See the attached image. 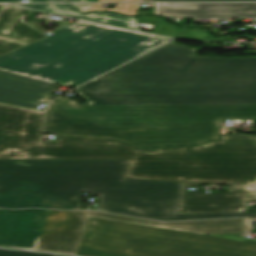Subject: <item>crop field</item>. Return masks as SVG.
Instances as JSON below:
<instances>
[{
	"label": "crop field",
	"instance_id": "obj_1",
	"mask_svg": "<svg viewBox=\"0 0 256 256\" xmlns=\"http://www.w3.org/2000/svg\"><path fill=\"white\" fill-rule=\"evenodd\" d=\"M42 159H128L125 179L183 182L179 213L246 212L256 187L204 194L200 185H256V136L224 135L200 147L146 152L116 139L57 136L42 143ZM193 185L196 190L187 191Z\"/></svg>",
	"mask_w": 256,
	"mask_h": 256
},
{
	"label": "crop field",
	"instance_id": "obj_2",
	"mask_svg": "<svg viewBox=\"0 0 256 256\" xmlns=\"http://www.w3.org/2000/svg\"><path fill=\"white\" fill-rule=\"evenodd\" d=\"M128 160H0V207L80 209L82 192L100 194L101 211L164 221L256 216L176 215L182 183L124 180Z\"/></svg>",
	"mask_w": 256,
	"mask_h": 256
},
{
	"label": "crop field",
	"instance_id": "obj_3",
	"mask_svg": "<svg viewBox=\"0 0 256 256\" xmlns=\"http://www.w3.org/2000/svg\"><path fill=\"white\" fill-rule=\"evenodd\" d=\"M171 42L76 90L93 105L256 104V57H194Z\"/></svg>",
	"mask_w": 256,
	"mask_h": 256
},
{
	"label": "crop field",
	"instance_id": "obj_4",
	"mask_svg": "<svg viewBox=\"0 0 256 256\" xmlns=\"http://www.w3.org/2000/svg\"><path fill=\"white\" fill-rule=\"evenodd\" d=\"M225 119L256 124V105L83 107L60 97L44 113V133L116 138L153 151L218 140L215 122Z\"/></svg>",
	"mask_w": 256,
	"mask_h": 256
},
{
	"label": "crop field",
	"instance_id": "obj_5",
	"mask_svg": "<svg viewBox=\"0 0 256 256\" xmlns=\"http://www.w3.org/2000/svg\"><path fill=\"white\" fill-rule=\"evenodd\" d=\"M169 40L78 20L0 57V70L74 87Z\"/></svg>",
	"mask_w": 256,
	"mask_h": 256
},
{
	"label": "crop field",
	"instance_id": "obj_6",
	"mask_svg": "<svg viewBox=\"0 0 256 256\" xmlns=\"http://www.w3.org/2000/svg\"><path fill=\"white\" fill-rule=\"evenodd\" d=\"M76 255L256 256V244L90 218Z\"/></svg>",
	"mask_w": 256,
	"mask_h": 256
},
{
	"label": "crop field",
	"instance_id": "obj_7",
	"mask_svg": "<svg viewBox=\"0 0 256 256\" xmlns=\"http://www.w3.org/2000/svg\"><path fill=\"white\" fill-rule=\"evenodd\" d=\"M89 217L201 235L253 232L249 218L164 223L93 211L66 212L48 210L37 251L75 255Z\"/></svg>",
	"mask_w": 256,
	"mask_h": 256
},
{
	"label": "crop field",
	"instance_id": "obj_8",
	"mask_svg": "<svg viewBox=\"0 0 256 256\" xmlns=\"http://www.w3.org/2000/svg\"><path fill=\"white\" fill-rule=\"evenodd\" d=\"M0 159H41V112L0 104Z\"/></svg>",
	"mask_w": 256,
	"mask_h": 256
},
{
	"label": "crop field",
	"instance_id": "obj_9",
	"mask_svg": "<svg viewBox=\"0 0 256 256\" xmlns=\"http://www.w3.org/2000/svg\"><path fill=\"white\" fill-rule=\"evenodd\" d=\"M46 211L0 209V247L34 251Z\"/></svg>",
	"mask_w": 256,
	"mask_h": 256
},
{
	"label": "crop field",
	"instance_id": "obj_10",
	"mask_svg": "<svg viewBox=\"0 0 256 256\" xmlns=\"http://www.w3.org/2000/svg\"><path fill=\"white\" fill-rule=\"evenodd\" d=\"M59 85L0 71V103L36 109L56 97Z\"/></svg>",
	"mask_w": 256,
	"mask_h": 256
},
{
	"label": "crop field",
	"instance_id": "obj_11",
	"mask_svg": "<svg viewBox=\"0 0 256 256\" xmlns=\"http://www.w3.org/2000/svg\"><path fill=\"white\" fill-rule=\"evenodd\" d=\"M155 14L165 17H256V3L155 4Z\"/></svg>",
	"mask_w": 256,
	"mask_h": 256
},
{
	"label": "crop field",
	"instance_id": "obj_12",
	"mask_svg": "<svg viewBox=\"0 0 256 256\" xmlns=\"http://www.w3.org/2000/svg\"><path fill=\"white\" fill-rule=\"evenodd\" d=\"M31 10L0 5V37L31 44L43 38V34L23 22V16Z\"/></svg>",
	"mask_w": 256,
	"mask_h": 256
},
{
	"label": "crop field",
	"instance_id": "obj_13",
	"mask_svg": "<svg viewBox=\"0 0 256 256\" xmlns=\"http://www.w3.org/2000/svg\"><path fill=\"white\" fill-rule=\"evenodd\" d=\"M16 5H21L25 7L35 8L39 10L66 15V16L86 19L90 21L136 29L135 17H128V16L116 14V13L93 12V13H89L88 15H84L79 11L75 10L74 8H72L68 4H16Z\"/></svg>",
	"mask_w": 256,
	"mask_h": 256
},
{
	"label": "crop field",
	"instance_id": "obj_14",
	"mask_svg": "<svg viewBox=\"0 0 256 256\" xmlns=\"http://www.w3.org/2000/svg\"><path fill=\"white\" fill-rule=\"evenodd\" d=\"M26 45L27 44L15 42L11 39L0 38V56H3Z\"/></svg>",
	"mask_w": 256,
	"mask_h": 256
},
{
	"label": "crop field",
	"instance_id": "obj_15",
	"mask_svg": "<svg viewBox=\"0 0 256 256\" xmlns=\"http://www.w3.org/2000/svg\"><path fill=\"white\" fill-rule=\"evenodd\" d=\"M138 21L139 23H158L156 28L151 32L154 34H159L161 31L171 25L169 23L163 22L159 17H138Z\"/></svg>",
	"mask_w": 256,
	"mask_h": 256
},
{
	"label": "crop field",
	"instance_id": "obj_16",
	"mask_svg": "<svg viewBox=\"0 0 256 256\" xmlns=\"http://www.w3.org/2000/svg\"><path fill=\"white\" fill-rule=\"evenodd\" d=\"M0 256H55V255L0 249Z\"/></svg>",
	"mask_w": 256,
	"mask_h": 256
},
{
	"label": "crop field",
	"instance_id": "obj_17",
	"mask_svg": "<svg viewBox=\"0 0 256 256\" xmlns=\"http://www.w3.org/2000/svg\"><path fill=\"white\" fill-rule=\"evenodd\" d=\"M138 5L139 4H117L114 11L128 15H135Z\"/></svg>",
	"mask_w": 256,
	"mask_h": 256
},
{
	"label": "crop field",
	"instance_id": "obj_18",
	"mask_svg": "<svg viewBox=\"0 0 256 256\" xmlns=\"http://www.w3.org/2000/svg\"><path fill=\"white\" fill-rule=\"evenodd\" d=\"M142 1H256V0H142Z\"/></svg>",
	"mask_w": 256,
	"mask_h": 256
},
{
	"label": "crop field",
	"instance_id": "obj_19",
	"mask_svg": "<svg viewBox=\"0 0 256 256\" xmlns=\"http://www.w3.org/2000/svg\"><path fill=\"white\" fill-rule=\"evenodd\" d=\"M0 2H20V0H0ZM31 2H66V0H31Z\"/></svg>",
	"mask_w": 256,
	"mask_h": 256
},
{
	"label": "crop field",
	"instance_id": "obj_20",
	"mask_svg": "<svg viewBox=\"0 0 256 256\" xmlns=\"http://www.w3.org/2000/svg\"><path fill=\"white\" fill-rule=\"evenodd\" d=\"M72 5L76 7L79 11L85 13L94 4H72Z\"/></svg>",
	"mask_w": 256,
	"mask_h": 256
},
{
	"label": "crop field",
	"instance_id": "obj_21",
	"mask_svg": "<svg viewBox=\"0 0 256 256\" xmlns=\"http://www.w3.org/2000/svg\"><path fill=\"white\" fill-rule=\"evenodd\" d=\"M102 4H95L92 8H90L87 12L91 11V10H109V11H113L114 9H100Z\"/></svg>",
	"mask_w": 256,
	"mask_h": 256
},
{
	"label": "crop field",
	"instance_id": "obj_22",
	"mask_svg": "<svg viewBox=\"0 0 256 256\" xmlns=\"http://www.w3.org/2000/svg\"><path fill=\"white\" fill-rule=\"evenodd\" d=\"M98 0H69V2H97Z\"/></svg>",
	"mask_w": 256,
	"mask_h": 256
},
{
	"label": "crop field",
	"instance_id": "obj_23",
	"mask_svg": "<svg viewBox=\"0 0 256 256\" xmlns=\"http://www.w3.org/2000/svg\"><path fill=\"white\" fill-rule=\"evenodd\" d=\"M105 1H139V0H99L98 2H105Z\"/></svg>",
	"mask_w": 256,
	"mask_h": 256
},
{
	"label": "crop field",
	"instance_id": "obj_24",
	"mask_svg": "<svg viewBox=\"0 0 256 256\" xmlns=\"http://www.w3.org/2000/svg\"><path fill=\"white\" fill-rule=\"evenodd\" d=\"M56 256H63V255H56Z\"/></svg>",
	"mask_w": 256,
	"mask_h": 256
}]
</instances>
